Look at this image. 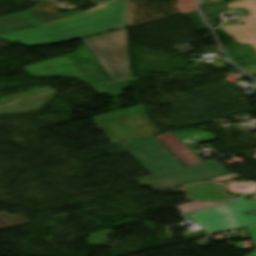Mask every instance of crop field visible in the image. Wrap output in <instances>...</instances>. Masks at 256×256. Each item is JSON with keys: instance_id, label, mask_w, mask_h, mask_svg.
I'll return each instance as SVG.
<instances>
[{"instance_id": "obj_1", "label": "crop field", "mask_w": 256, "mask_h": 256, "mask_svg": "<svg viewBox=\"0 0 256 256\" xmlns=\"http://www.w3.org/2000/svg\"><path fill=\"white\" fill-rule=\"evenodd\" d=\"M128 5L124 0L94 8L74 17L56 21L36 29L13 32L0 39L27 46L67 42L81 39L127 26Z\"/></svg>"}, {"instance_id": "obj_2", "label": "crop field", "mask_w": 256, "mask_h": 256, "mask_svg": "<svg viewBox=\"0 0 256 256\" xmlns=\"http://www.w3.org/2000/svg\"><path fill=\"white\" fill-rule=\"evenodd\" d=\"M128 144L132 147L129 154L153 175L137 182L157 191L229 174L214 161L184 167L153 136Z\"/></svg>"}, {"instance_id": "obj_3", "label": "crop field", "mask_w": 256, "mask_h": 256, "mask_svg": "<svg viewBox=\"0 0 256 256\" xmlns=\"http://www.w3.org/2000/svg\"><path fill=\"white\" fill-rule=\"evenodd\" d=\"M34 76L67 75L90 85L110 82V77L94 60L84 44L72 54L22 67Z\"/></svg>"}, {"instance_id": "obj_4", "label": "crop field", "mask_w": 256, "mask_h": 256, "mask_svg": "<svg viewBox=\"0 0 256 256\" xmlns=\"http://www.w3.org/2000/svg\"><path fill=\"white\" fill-rule=\"evenodd\" d=\"M83 42L115 81L131 79L127 29L84 39Z\"/></svg>"}, {"instance_id": "obj_5", "label": "crop field", "mask_w": 256, "mask_h": 256, "mask_svg": "<svg viewBox=\"0 0 256 256\" xmlns=\"http://www.w3.org/2000/svg\"><path fill=\"white\" fill-rule=\"evenodd\" d=\"M249 210H256V201L241 199L228 206L187 215L190 220L197 221L208 235L256 223V217L249 215Z\"/></svg>"}, {"instance_id": "obj_6", "label": "crop field", "mask_w": 256, "mask_h": 256, "mask_svg": "<svg viewBox=\"0 0 256 256\" xmlns=\"http://www.w3.org/2000/svg\"><path fill=\"white\" fill-rule=\"evenodd\" d=\"M99 131H103L113 144L141 138L123 110L92 117Z\"/></svg>"}, {"instance_id": "obj_7", "label": "crop field", "mask_w": 256, "mask_h": 256, "mask_svg": "<svg viewBox=\"0 0 256 256\" xmlns=\"http://www.w3.org/2000/svg\"><path fill=\"white\" fill-rule=\"evenodd\" d=\"M226 6L228 9L245 8L250 14L242 19L243 25L227 26L222 29L240 44H250L256 50V0H240Z\"/></svg>"}, {"instance_id": "obj_8", "label": "crop field", "mask_w": 256, "mask_h": 256, "mask_svg": "<svg viewBox=\"0 0 256 256\" xmlns=\"http://www.w3.org/2000/svg\"><path fill=\"white\" fill-rule=\"evenodd\" d=\"M56 20L53 14L40 2L28 11L0 17V33Z\"/></svg>"}, {"instance_id": "obj_9", "label": "crop field", "mask_w": 256, "mask_h": 256, "mask_svg": "<svg viewBox=\"0 0 256 256\" xmlns=\"http://www.w3.org/2000/svg\"><path fill=\"white\" fill-rule=\"evenodd\" d=\"M156 138L173 153L185 166L203 162L184 143L172 133L156 136Z\"/></svg>"}, {"instance_id": "obj_10", "label": "crop field", "mask_w": 256, "mask_h": 256, "mask_svg": "<svg viewBox=\"0 0 256 256\" xmlns=\"http://www.w3.org/2000/svg\"><path fill=\"white\" fill-rule=\"evenodd\" d=\"M125 111L127 112L128 116L132 120L133 124L138 128V130L144 136L158 134V132L146 119L143 104L126 108Z\"/></svg>"}, {"instance_id": "obj_11", "label": "crop field", "mask_w": 256, "mask_h": 256, "mask_svg": "<svg viewBox=\"0 0 256 256\" xmlns=\"http://www.w3.org/2000/svg\"><path fill=\"white\" fill-rule=\"evenodd\" d=\"M8 216L7 218H4L5 216ZM3 217L2 219H0V230L1 229H5V228H9V227H13V226H17V225H21V224H25L28 223L25 219H23L20 215H14V216H10L7 213L3 212L0 213V218Z\"/></svg>"}, {"instance_id": "obj_12", "label": "crop field", "mask_w": 256, "mask_h": 256, "mask_svg": "<svg viewBox=\"0 0 256 256\" xmlns=\"http://www.w3.org/2000/svg\"><path fill=\"white\" fill-rule=\"evenodd\" d=\"M95 87L99 91V93L108 92L109 94H111L113 96H116L118 94H122L123 93V92H121L119 90V88L117 87L116 83L97 85Z\"/></svg>"}, {"instance_id": "obj_13", "label": "crop field", "mask_w": 256, "mask_h": 256, "mask_svg": "<svg viewBox=\"0 0 256 256\" xmlns=\"http://www.w3.org/2000/svg\"><path fill=\"white\" fill-rule=\"evenodd\" d=\"M246 229L256 246V225L247 227ZM248 256H256V250L251 252Z\"/></svg>"}, {"instance_id": "obj_14", "label": "crop field", "mask_w": 256, "mask_h": 256, "mask_svg": "<svg viewBox=\"0 0 256 256\" xmlns=\"http://www.w3.org/2000/svg\"><path fill=\"white\" fill-rule=\"evenodd\" d=\"M117 85L119 86L120 90L129 87V84L127 81L124 82H118Z\"/></svg>"}]
</instances>
